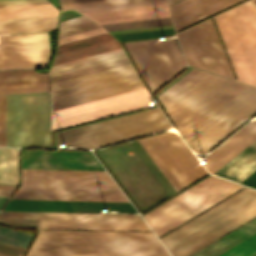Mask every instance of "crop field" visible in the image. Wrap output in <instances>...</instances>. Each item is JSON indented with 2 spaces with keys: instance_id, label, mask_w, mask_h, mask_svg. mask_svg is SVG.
<instances>
[{
  "instance_id": "obj_46",
  "label": "crop field",
  "mask_w": 256,
  "mask_h": 256,
  "mask_svg": "<svg viewBox=\"0 0 256 256\" xmlns=\"http://www.w3.org/2000/svg\"><path fill=\"white\" fill-rule=\"evenodd\" d=\"M252 1L256 3V0H252ZM255 3H254V4H255Z\"/></svg>"
},
{
  "instance_id": "obj_26",
  "label": "crop field",
  "mask_w": 256,
  "mask_h": 256,
  "mask_svg": "<svg viewBox=\"0 0 256 256\" xmlns=\"http://www.w3.org/2000/svg\"><path fill=\"white\" fill-rule=\"evenodd\" d=\"M0 183L17 185V148H0Z\"/></svg>"
},
{
  "instance_id": "obj_21",
  "label": "crop field",
  "mask_w": 256,
  "mask_h": 256,
  "mask_svg": "<svg viewBox=\"0 0 256 256\" xmlns=\"http://www.w3.org/2000/svg\"><path fill=\"white\" fill-rule=\"evenodd\" d=\"M41 228L150 231L144 223L41 220Z\"/></svg>"
},
{
  "instance_id": "obj_17",
  "label": "crop field",
  "mask_w": 256,
  "mask_h": 256,
  "mask_svg": "<svg viewBox=\"0 0 256 256\" xmlns=\"http://www.w3.org/2000/svg\"><path fill=\"white\" fill-rule=\"evenodd\" d=\"M99 24L170 17L167 4L82 13Z\"/></svg>"
},
{
  "instance_id": "obj_45",
  "label": "crop field",
  "mask_w": 256,
  "mask_h": 256,
  "mask_svg": "<svg viewBox=\"0 0 256 256\" xmlns=\"http://www.w3.org/2000/svg\"><path fill=\"white\" fill-rule=\"evenodd\" d=\"M177 1H179V0H169V3L171 5V4H173V3L177 2Z\"/></svg>"
},
{
  "instance_id": "obj_3",
  "label": "crop field",
  "mask_w": 256,
  "mask_h": 256,
  "mask_svg": "<svg viewBox=\"0 0 256 256\" xmlns=\"http://www.w3.org/2000/svg\"><path fill=\"white\" fill-rule=\"evenodd\" d=\"M256 216V191L244 189L160 239L172 256H189Z\"/></svg>"
},
{
  "instance_id": "obj_32",
  "label": "crop field",
  "mask_w": 256,
  "mask_h": 256,
  "mask_svg": "<svg viewBox=\"0 0 256 256\" xmlns=\"http://www.w3.org/2000/svg\"><path fill=\"white\" fill-rule=\"evenodd\" d=\"M256 251V234L219 256H248Z\"/></svg>"
},
{
  "instance_id": "obj_23",
  "label": "crop field",
  "mask_w": 256,
  "mask_h": 256,
  "mask_svg": "<svg viewBox=\"0 0 256 256\" xmlns=\"http://www.w3.org/2000/svg\"><path fill=\"white\" fill-rule=\"evenodd\" d=\"M208 75L210 73L193 68L158 97L167 109Z\"/></svg>"
},
{
  "instance_id": "obj_15",
  "label": "crop field",
  "mask_w": 256,
  "mask_h": 256,
  "mask_svg": "<svg viewBox=\"0 0 256 256\" xmlns=\"http://www.w3.org/2000/svg\"><path fill=\"white\" fill-rule=\"evenodd\" d=\"M21 168L104 170L91 152L21 150Z\"/></svg>"
},
{
  "instance_id": "obj_4",
  "label": "crop field",
  "mask_w": 256,
  "mask_h": 256,
  "mask_svg": "<svg viewBox=\"0 0 256 256\" xmlns=\"http://www.w3.org/2000/svg\"><path fill=\"white\" fill-rule=\"evenodd\" d=\"M170 128L159 109L153 108L57 133V146L93 148Z\"/></svg>"
},
{
  "instance_id": "obj_6",
  "label": "crop field",
  "mask_w": 256,
  "mask_h": 256,
  "mask_svg": "<svg viewBox=\"0 0 256 256\" xmlns=\"http://www.w3.org/2000/svg\"><path fill=\"white\" fill-rule=\"evenodd\" d=\"M214 18L238 79L256 86V6L247 1Z\"/></svg>"
},
{
  "instance_id": "obj_29",
  "label": "crop field",
  "mask_w": 256,
  "mask_h": 256,
  "mask_svg": "<svg viewBox=\"0 0 256 256\" xmlns=\"http://www.w3.org/2000/svg\"><path fill=\"white\" fill-rule=\"evenodd\" d=\"M129 63L130 62H129L128 58H125V59L89 67V68H85V69H81V70H77V71H73V72H69V73H65V74H61V75H57V76H53V77H51V80L53 83V82H57V81H61V80H65V79H69V78H73V77H77V76H81V75H85V74H89V73H93V72H97V71H101V70H105V69H109V68H113V67H117V66H121V65H125V64H129Z\"/></svg>"
},
{
  "instance_id": "obj_48",
  "label": "crop field",
  "mask_w": 256,
  "mask_h": 256,
  "mask_svg": "<svg viewBox=\"0 0 256 256\" xmlns=\"http://www.w3.org/2000/svg\"><path fill=\"white\" fill-rule=\"evenodd\" d=\"M254 256H256V254Z\"/></svg>"
},
{
  "instance_id": "obj_14",
  "label": "crop field",
  "mask_w": 256,
  "mask_h": 256,
  "mask_svg": "<svg viewBox=\"0 0 256 256\" xmlns=\"http://www.w3.org/2000/svg\"><path fill=\"white\" fill-rule=\"evenodd\" d=\"M143 88L135 71L53 92L52 111Z\"/></svg>"
},
{
  "instance_id": "obj_40",
  "label": "crop field",
  "mask_w": 256,
  "mask_h": 256,
  "mask_svg": "<svg viewBox=\"0 0 256 256\" xmlns=\"http://www.w3.org/2000/svg\"><path fill=\"white\" fill-rule=\"evenodd\" d=\"M15 187L11 185H0V195L10 196Z\"/></svg>"
},
{
  "instance_id": "obj_24",
  "label": "crop field",
  "mask_w": 256,
  "mask_h": 256,
  "mask_svg": "<svg viewBox=\"0 0 256 256\" xmlns=\"http://www.w3.org/2000/svg\"><path fill=\"white\" fill-rule=\"evenodd\" d=\"M256 233V218L226 235L193 256H218L234 245Z\"/></svg>"
},
{
  "instance_id": "obj_1",
  "label": "crop field",
  "mask_w": 256,
  "mask_h": 256,
  "mask_svg": "<svg viewBox=\"0 0 256 256\" xmlns=\"http://www.w3.org/2000/svg\"><path fill=\"white\" fill-rule=\"evenodd\" d=\"M26 256H169L152 233L40 230Z\"/></svg>"
},
{
  "instance_id": "obj_33",
  "label": "crop field",
  "mask_w": 256,
  "mask_h": 256,
  "mask_svg": "<svg viewBox=\"0 0 256 256\" xmlns=\"http://www.w3.org/2000/svg\"><path fill=\"white\" fill-rule=\"evenodd\" d=\"M125 57H126V55H125V53H123V54H119V55H115V56H111V57L91 61V62H88V63H84V64H80V65H76V66H72V67L52 71L51 76L61 74V73H65V72H69V71H73V70H77V69H81V68H85V67H89V66H93V65H97V64H101V63H105V62H109V61H113V60H117V59H121V58H125Z\"/></svg>"
},
{
  "instance_id": "obj_28",
  "label": "crop field",
  "mask_w": 256,
  "mask_h": 256,
  "mask_svg": "<svg viewBox=\"0 0 256 256\" xmlns=\"http://www.w3.org/2000/svg\"><path fill=\"white\" fill-rule=\"evenodd\" d=\"M129 71H133L131 64L113 68V69H109V70H105V71H101V72H97V73H93V74H89V75H85V76H81V77H77V78H73V79H69V80H65V81H61V82H57V83H53L52 88L54 91V90L90 82L93 80L129 72Z\"/></svg>"
},
{
  "instance_id": "obj_7",
  "label": "crop field",
  "mask_w": 256,
  "mask_h": 256,
  "mask_svg": "<svg viewBox=\"0 0 256 256\" xmlns=\"http://www.w3.org/2000/svg\"><path fill=\"white\" fill-rule=\"evenodd\" d=\"M241 187L210 176L143 217L159 237Z\"/></svg>"
},
{
  "instance_id": "obj_43",
  "label": "crop field",
  "mask_w": 256,
  "mask_h": 256,
  "mask_svg": "<svg viewBox=\"0 0 256 256\" xmlns=\"http://www.w3.org/2000/svg\"><path fill=\"white\" fill-rule=\"evenodd\" d=\"M84 1H94V0H60V3L65 4V3H75V2H84Z\"/></svg>"
},
{
  "instance_id": "obj_36",
  "label": "crop field",
  "mask_w": 256,
  "mask_h": 256,
  "mask_svg": "<svg viewBox=\"0 0 256 256\" xmlns=\"http://www.w3.org/2000/svg\"><path fill=\"white\" fill-rule=\"evenodd\" d=\"M163 3H167V1H166V0H162V1H153V2H143V3H134V4H125V5H115V6L97 7V8H87V9H78L77 11H79V12H84V11L114 9V8H123V7H133V6L163 4Z\"/></svg>"
},
{
  "instance_id": "obj_38",
  "label": "crop field",
  "mask_w": 256,
  "mask_h": 256,
  "mask_svg": "<svg viewBox=\"0 0 256 256\" xmlns=\"http://www.w3.org/2000/svg\"><path fill=\"white\" fill-rule=\"evenodd\" d=\"M88 22H92V21L89 20L88 18L84 17V16L74 18V19H70V20H66V21H62L61 26H60V30L65 29V28H69V27H73V26H77V25H80V24L88 23Z\"/></svg>"
},
{
  "instance_id": "obj_39",
  "label": "crop field",
  "mask_w": 256,
  "mask_h": 256,
  "mask_svg": "<svg viewBox=\"0 0 256 256\" xmlns=\"http://www.w3.org/2000/svg\"><path fill=\"white\" fill-rule=\"evenodd\" d=\"M240 183L256 188V171H254Z\"/></svg>"
},
{
  "instance_id": "obj_35",
  "label": "crop field",
  "mask_w": 256,
  "mask_h": 256,
  "mask_svg": "<svg viewBox=\"0 0 256 256\" xmlns=\"http://www.w3.org/2000/svg\"><path fill=\"white\" fill-rule=\"evenodd\" d=\"M123 52H124L123 49H121V50H117V51H113V52H109V53H105V54H101V55H97V56H93V57H89V58H85V59H81V60H77V61H73V62H69V63L57 65V66H53L51 71L56 70V69H60V68H64V67H68V66H72V65H76V64H80V63H84V62H87V61H91V60H95V59H99V58H103V57L123 53Z\"/></svg>"
},
{
  "instance_id": "obj_27",
  "label": "crop field",
  "mask_w": 256,
  "mask_h": 256,
  "mask_svg": "<svg viewBox=\"0 0 256 256\" xmlns=\"http://www.w3.org/2000/svg\"><path fill=\"white\" fill-rule=\"evenodd\" d=\"M58 10L51 4L0 8V18L57 15Z\"/></svg>"
},
{
  "instance_id": "obj_25",
  "label": "crop field",
  "mask_w": 256,
  "mask_h": 256,
  "mask_svg": "<svg viewBox=\"0 0 256 256\" xmlns=\"http://www.w3.org/2000/svg\"><path fill=\"white\" fill-rule=\"evenodd\" d=\"M121 48L122 47L120 43L117 42L116 40H113V41L57 54L55 56L53 65L89 57V56H93V55H97V54H101V53H105V52H109V51H113Z\"/></svg>"
},
{
  "instance_id": "obj_42",
  "label": "crop field",
  "mask_w": 256,
  "mask_h": 256,
  "mask_svg": "<svg viewBox=\"0 0 256 256\" xmlns=\"http://www.w3.org/2000/svg\"><path fill=\"white\" fill-rule=\"evenodd\" d=\"M48 3L47 1H41V2H30V3H20V4H9V5H0V7L4 6H18V5H31V4H44Z\"/></svg>"
},
{
  "instance_id": "obj_19",
  "label": "crop field",
  "mask_w": 256,
  "mask_h": 256,
  "mask_svg": "<svg viewBox=\"0 0 256 256\" xmlns=\"http://www.w3.org/2000/svg\"><path fill=\"white\" fill-rule=\"evenodd\" d=\"M0 218L142 222L139 215L19 212V211H2Z\"/></svg>"
},
{
  "instance_id": "obj_18",
  "label": "crop field",
  "mask_w": 256,
  "mask_h": 256,
  "mask_svg": "<svg viewBox=\"0 0 256 256\" xmlns=\"http://www.w3.org/2000/svg\"><path fill=\"white\" fill-rule=\"evenodd\" d=\"M50 84L49 73L34 70L0 72V87ZM50 91V85L0 88V94Z\"/></svg>"
},
{
  "instance_id": "obj_22",
  "label": "crop field",
  "mask_w": 256,
  "mask_h": 256,
  "mask_svg": "<svg viewBox=\"0 0 256 256\" xmlns=\"http://www.w3.org/2000/svg\"><path fill=\"white\" fill-rule=\"evenodd\" d=\"M57 16L0 19V34L53 30Z\"/></svg>"
},
{
  "instance_id": "obj_5",
  "label": "crop field",
  "mask_w": 256,
  "mask_h": 256,
  "mask_svg": "<svg viewBox=\"0 0 256 256\" xmlns=\"http://www.w3.org/2000/svg\"><path fill=\"white\" fill-rule=\"evenodd\" d=\"M6 146L50 147V93L6 96Z\"/></svg>"
},
{
  "instance_id": "obj_34",
  "label": "crop field",
  "mask_w": 256,
  "mask_h": 256,
  "mask_svg": "<svg viewBox=\"0 0 256 256\" xmlns=\"http://www.w3.org/2000/svg\"><path fill=\"white\" fill-rule=\"evenodd\" d=\"M106 33H107L106 31H104L102 28H100V29H96V30H92V31H88V32H84V33L64 37V38H60L59 42H58V45L68 43V42H72V41L85 39V38H89V37H94V36H98V35H102V34H106Z\"/></svg>"
},
{
  "instance_id": "obj_9",
  "label": "crop field",
  "mask_w": 256,
  "mask_h": 256,
  "mask_svg": "<svg viewBox=\"0 0 256 256\" xmlns=\"http://www.w3.org/2000/svg\"><path fill=\"white\" fill-rule=\"evenodd\" d=\"M256 113V88L248 86L187 136L197 153H206Z\"/></svg>"
},
{
  "instance_id": "obj_47",
  "label": "crop field",
  "mask_w": 256,
  "mask_h": 256,
  "mask_svg": "<svg viewBox=\"0 0 256 256\" xmlns=\"http://www.w3.org/2000/svg\"><path fill=\"white\" fill-rule=\"evenodd\" d=\"M0 256H5V255L0 254Z\"/></svg>"
},
{
  "instance_id": "obj_20",
  "label": "crop field",
  "mask_w": 256,
  "mask_h": 256,
  "mask_svg": "<svg viewBox=\"0 0 256 256\" xmlns=\"http://www.w3.org/2000/svg\"><path fill=\"white\" fill-rule=\"evenodd\" d=\"M256 169V139L214 174L239 183Z\"/></svg>"
},
{
  "instance_id": "obj_37",
  "label": "crop field",
  "mask_w": 256,
  "mask_h": 256,
  "mask_svg": "<svg viewBox=\"0 0 256 256\" xmlns=\"http://www.w3.org/2000/svg\"><path fill=\"white\" fill-rule=\"evenodd\" d=\"M0 146H5V96H0Z\"/></svg>"
},
{
  "instance_id": "obj_12",
  "label": "crop field",
  "mask_w": 256,
  "mask_h": 256,
  "mask_svg": "<svg viewBox=\"0 0 256 256\" xmlns=\"http://www.w3.org/2000/svg\"><path fill=\"white\" fill-rule=\"evenodd\" d=\"M143 89L52 112V130L151 106Z\"/></svg>"
},
{
  "instance_id": "obj_2",
  "label": "crop field",
  "mask_w": 256,
  "mask_h": 256,
  "mask_svg": "<svg viewBox=\"0 0 256 256\" xmlns=\"http://www.w3.org/2000/svg\"><path fill=\"white\" fill-rule=\"evenodd\" d=\"M12 199L129 202L106 172L21 169Z\"/></svg>"
},
{
  "instance_id": "obj_11",
  "label": "crop field",
  "mask_w": 256,
  "mask_h": 256,
  "mask_svg": "<svg viewBox=\"0 0 256 256\" xmlns=\"http://www.w3.org/2000/svg\"><path fill=\"white\" fill-rule=\"evenodd\" d=\"M177 36L189 65L234 78L211 18Z\"/></svg>"
},
{
  "instance_id": "obj_41",
  "label": "crop field",
  "mask_w": 256,
  "mask_h": 256,
  "mask_svg": "<svg viewBox=\"0 0 256 256\" xmlns=\"http://www.w3.org/2000/svg\"><path fill=\"white\" fill-rule=\"evenodd\" d=\"M30 1H41V0H1L0 4L30 2Z\"/></svg>"
},
{
  "instance_id": "obj_31",
  "label": "crop field",
  "mask_w": 256,
  "mask_h": 256,
  "mask_svg": "<svg viewBox=\"0 0 256 256\" xmlns=\"http://www.w3.org/2000/svg\"><path fill=\"white\" fill-rule=\"evenodd\" d=\"M168 24H172L170 18L105 24L101 26L104 27L107 31H112V30L131 29V28H140V27H149V26L168 25Z\"/></svg>"
},
{
  "instance_id": "obj_10",
  "label": "crop field",
  "mask_w": 256,
  "mask_h": 256,
  "mask_svg": "<svg viewBox=\"0 0 256 256\" xmlns=\"http://www.w3.org/2000/svg\"><path fill=\"white\" fill-rule=\"evenodd\" d=\"M152 93L186 66L174 40L124 43Z\"/></svg>"
},
{
  "instance_id": "obj_44",
  "label": "crop field",
  "mask_w": 256,
  "mask_h": 256,
  "mask_svg": "<svg viewBox=\"0 0 256 256\" xmlns=\"http://www.w3.org/2000/svg\"><path fill=\"white\" fill-rule=\"evenodd\" d=\"M8 199V197L0 196V208L5 203V201Z\"/></svg>"
},
{
  "instance_id": "obj_16",
  "label": "crop field",
  "mask_w": 256,
  "mask_h": 256,
  "mask_svg": "<svg viewBox=\"0 0 256 256\" xmlns=\"http://www.w3.org/2000/svg\"><path fill=\"white\" fill-rule=\"evenodd\" d=\"M243 0H183L170 7L176 30H180Z\"/></svg>"
},
{
  "instance_id": "obj_8",
  "label": "crop field",
  "mask_w": 256,
  "mask_h": 256,
  "mask_svg": "<svg viewBox=\"0 0 256 256\" xmlns=\"http://www.w3.org/2000/svg\"><path fill=\"white\" fill-rule=\"evenodd\" d=\"M245 87L211 74L165 112L184 137Z\"/></svg>"
},
{
  "instance_id": "obj_30",
  "label": "crop field",
  "mask_w": 256,
  "mask_h": 256,
  "mask_svg": "<svg viewBox=\"0 0 256 256\" xmlns=\"http://www.w3.org/2000/svg\"><path fill=\"white\" fill-rule=\"evenodd\" d=\"M33 236L27 235L21 232H17L11 229H7L0 226V241L18 246L21 248H27L30 240Z\"/></svg>"
},
{
  "instance_id": "obj_13",
  "label": "crop field",
  "mask_w": 256,
  "mask_h": 256,
  "mask_svg": "<svg viewBox=\"0 0 256 256\" xmlns=\"http://www.w3.org/2000/svg\"><path fill=\"white\" fill-rule=\"evenodd\" d=\"M47 33L0 36V70L47 67Z\"/></svg>"
}]
</instances>
